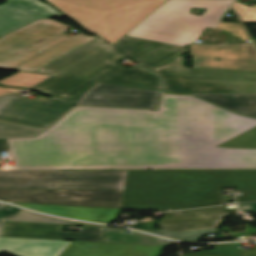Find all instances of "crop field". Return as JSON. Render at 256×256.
<instances>
[{
  "label": "crop field",
  "mask_w": 256,
  "mask_h": 256,
  "mask_svg": "<svg viewBox=\"0 0 256 256\" xmlns=\"http://www.w3.org/2000/svg\"><path fill=\"white\" fill-rule=\"evenodd\" d=\"M8 143L16 168H256V149L208 147L179 127L96 125Z\"/></svg>",
  "instance_id": "8a807250"
},
{
  "label": "crop field",
  "mask_w": 256,
  "mask_h": 256,
  "mask_svg": "<svg viewBox=\"0 0 256 256\" xmlns=\"http://www.w3.org/2000/svg\"><path fill=\"white\" fill-rule=\"evenodd\" d=\"M186 48L124 36L112 46L97 38L61 59L37 70L52 77L31 90L68 99L96 81L161 90L160 79L133 65L115 61L128 57L151 70L185 52Z\"/></svg>",
  "instance_id": "ac0d7876"
},
{
  "label": "crop field",
  "mask_w": 256,
  "mask_h": 256,
  "mask_svg": "<svg viewBox=\"0 0 256 256\" xmlns=\"http://www.w3.org/2000/svg\"><path fill=\"white\" fill-rule=\"evenodd\" d=\"M96 124L180 126L208 146H216L255 127L256 119L237 115L194 96L164 95L159 111L79 107L39 136Z\"/></svg>",
  "instance_id": "34b2d1b8"
},
{
  "label": "crop field",
  "mask_w": 256,
  "mask_h": 256,
  "mask_svg": "<svg viewBox=\"0 0 256 256\" xmlns=\"http://www.w3.org/2000/svg\"><path fill=\"white\" fill-rule=\"evenodd\" d=\"M238 187L256 201V170L129 171L122 210H181L224 204L219 190Z\"/></svg>",
  "instance_id": "412701ff"
},
{
  "label": "crop field",
  "mask_w": 256,
  "mask_h": 256,
  "mask_svg": "<svg viewBox=\"0 0 256 256\" xmlns=\"http://www.w3.org/2000/svg\"><path fill=\"white\" fill-rule=\"evenodd\" d=\"M234 0H169L131 30L128 36L187 47L207 28L228 31L229 37L249 40L240 23L221 21ZM192 8H207L201 16Z\"/></svg>",
  "instance_id": "f4fd0767"
},
{
  "label": "crop field",
  "mask_w": 256,
  "mask_h": 256,
  "mask_svg": "<svg viewBox=\"0 0 256 256\" xmlns=\"http://www.w3.org/2000/svg\"><path fill=\"white\" fill-rule=\"evenodd\" d=\"M46 1L58 7L90 33L103 37L112 45L166 0Z\"/></svg>",
  "instance_id": "dd49c442"
},
{
  "label": "crop field",
  "mask_w": 256,
  "mask_h": 256,
  "mask_svg": "<svg viewBox=\"0 0 256 256\" xmlns=\"http://www.w3.org/2000/svg\"><path fill=\"white\" fill-rule=\"evenodd\" d=\"M164 78L167 91L188 94L256 93V72L187 68L182 56L154 72Z\"/></svg>",
  "instance_id": "e52e79f7"
},
{
  "label": "crop field",
  "mask_w": 256,
  "mask_h": 256,
  "mask_svg": "<svg viewBox=\"0 0 256 256\" xmlns=\"http://www.w3.org/2000/svg\"><path fill=\"white\" fill-rule=\"evenodd\" d=\"M128 171H0V188L124 190Z\"/></svg>",
  "instance_id": "d8731c3e"
},
{
  "label": "crop field",
  "mask_w": 256,
  "mask_h": 256,
  "mask_svg": "<svg viewBox=\"0 0 256 256\" xmlns=\"http://www.w3.org/2000/svg\"><path fill=\"white\" fill-rule=\"evenodd\" d=\"M71 27L50 19L37 20L0 39V69L15 67L69 37L63 34Z\"/></svg>",
  "instance_id": "5a996713"
},
{
  "label": "crop field",
  "mask_w": 256,
  "mask_h": 256,
  "mask_svg": "<svg viewBox=\"0 0 256 256\" xmlns=\"http://www.w3.org/2000/svg\"><path fill=\"white\" fill-rule=\"evenodd\" d=\"M123 195L124 191L0 189V200L6 202L119 209Z\"/></svg>",
  "instance_id": "3316defc"
},
{
  "label": "crop field",
  "mask_w": 256,
  "mask_h": 256,
  "mask_svg": "<svg viewBox=\"0 0 256 256\" xmlns=\"http://www.w3.org/2000/svg\"><path fill=\"white\" fill-rule=\"evenodd\" d=\"M82 93L68 101L52 97L48 102L6 94L0 96V120L45 128L71 109Z\"/></svg>",
  "instance_id": "28ad6ade"
},
{
  "label": "crop field",
  "mask_w": 256,
  "mask_h": 256,
  "mask_svg": "<svg viewBox=\"0 0 256 256\" xmlns=\"http://www.w3.org/2000/svg\"><path fill=\"white\" fill-rule=\"evenodd\" d=\"M190 54L195 67L256 71V49L252 43L191 44Z\"/></svg>",
  "instance_id": "d1516ede"
},
{
  "label": "crop field",
  "mask_w": 256,
  "mask_h": 256,
  "mask_svg": "<svg viewBox=\"0 0 256 256\" xmlns=\"http://www.w3.org/2000/svg\"><path fill=\"white\" fill-rule=\"evenodd\" d=\"M159 92L96 83L83 93L76 105L154 109Z\"/></svg>",
  "instance_id": "22f410ed"
},
{
  "label": "crop field",
  "mask_w": 256,
  "mask_h": 256,
  "mask_svg": "<svg viewBox=\"0 0 256 256\" xmlns=\"http://www.w3.org/2000/svg\"><path fill=\"white\" fill-rule=\"evenodd\" d=\"M63 225L5 222L3 236L103 242L104 227H84L81 232L62 231Z\"/></svg>",
  "instance_id": "cbeb9de0"
},
{
  "label": "crop field",
  "mask_w": 256,
  "mask_h": 256,
  "mask_svg": "<svg viewBox=\"0 0 256 256\" xmlns=\"http://www.w3.org/2000/svg\"><path fill=\"white\" fill-rule=\"evenodd\" d=\"M63 16L38 0H7L0 5V37L37 19Z\"/></svg>",
  "instance_id": "5142ce71"
},
{
  "label": "crop field",
  "mask_w": 256,
  "mask_h": 256,
  "mask_svg": "<svg viewBox=\"0 0 256 256\" xmlns=\"http://www.w3.org/2000/svg\"><path fill=\"white\" fill-rule=\"evenodd\" d=\"M164 246L72 242L60 256H158Z\"/></svg>",
  "instance_id": "d9b57169"
},
{
  "label": "crop field",
  "mask_w": 256,
  "mask_h": 256,
  "mask_svg": "<svg viewBox=\"0 0 256 256\" xmlns=\"http://www.w3.org/2000/svg\"><path fill=\"white\" fill-rule=\"evenodd\" d=\"M69 241L0 237V251L16 256H59Z\"/></svg>",
  "instance_id": "733c2abd"
},
{
  "label": "crop field",
  "mask_w": 256,
  "mask_h": 256,
  "mask_svg": "<svg viewBox=\"0 0 256 256\" xmlns=\"http://www.w3.org/2000/svg\"><path fill=\"white\" fill-rule=\"evenodd\" d=\"M33 210L44 213L59 215L63 217L108 224L116 219L120 210L106 208H86V207H69V206H53L38 204H19Z\"/></svg>",
  "instance_id": "4a817a6b"
},
{
  "label": "crop field",
  "mask_w": 256,
  "mask_h": 256,
  "mask_svg": "<svg viewBox=\"0 0 256 256\" xmlns=\"http://www.w3.org/2000/svg\"><path fill=\"white\" fill-rule=\"evenodd\" d=\"M238 212L237 209L225 210L222 207L203 208L190 211L165 213V217L160 222L163 230L180 231L184 222L190 220L223 218L225 215Z\"/></svg>",
  "instance_id": "bc2a9ffb"
},
{
  "label": "crop field",
  "mask_w": 256,
  "mask_h": 256,
  "mask_svg": "<svg viewBox=\"0 0 256 256\" xmlns=\"http://www.w3.org/2000/svg\"><path fill=\"white\" fill-rule=\"evenodd\" d=\"M97 37H88L82 33L54 46L45 53L25 62L17 67V69L35 71L59 58L79 48Z\"/></svg>",
  "instance_id": "214f88e0"
},
{
  "label": "crop field",
  "mask_w": 256,
  "mask_h": 256,
  "mask_svg": "<svg viewBox=\"0 0 256 256\" xmlns=\"http://www.w3.org/2000/svg\"><path fill=\"white\" fill-rule=\"evenodd\" d=\"M4 221L71 224L72 221L47 217L38 213L25 211L7 204H0V236L3 233Z\"/></svg>",
  "instance_id": "92a150f3"
},
{
  "label": "crop field",
  "mask_w": 256,
  "mask_h": 256,
  "mask_svg": "<svg viewBox=\"0 0 256 256\" xmlns=\"http://www.w3.org/2000/svg\"><path fill=\"white\" fill-rule=\"evenodd\" d=\"M197 96L214 104L228 108L238 114L256 118V95Z\"/></svg>",
  "instance_id": "dafd665d"
},
{
  "label": "crop field",
  "mask_w": 256,
  "mask_h": 256,
  "mask_svg": "<svg viewBox=\"0 0 256 256\" xmlns=\"http://www.w3.org/2000/svg\"><path fill=\"white\" fill-rule=\"evenodd\" d=\"M104 242L112 243H129V244H146V245H162L173 243L172 241L148 236L141 233L134 235H124L122 229H105Z\"/></svg>",
  "instance_id": "00972430"
},
{
  "label": "crop field",
  "mask_w": 256,
  "mask_h": 256,
  "mask_svg": "<svg viewBox=\"0 0 256 256\" xmlns=\"http://www.w3.org/2000/svg\"><path fill=\"white\" fill-rule=\"evenodd\" d=\"M48 76L19 72L9 78L0 81L3 86H15L29 88Z\"/></svg>",
  "instance_id": "a9b5d70f"
},
{
  "label": "crop field",
  "mask_w": 256,
  "mask_h": 256,
  "mask_svg": "<svg viewBox=\"0 0 256 256\" xmlns=\"http://www.w3.org/2000/svg\"><path fill=\"white\" fill-rule=\"evenodd\" d=\"M42 132L44 131L0 122V138L36 137Z\"/></svg>",
  "instance_id": "4177f3b9"
},
{
  "label": "crop field",
  "mask_w": 256,
  "mask_h": 256,
  "mask_svg": "<svg viewBox=\"0 0 256 256\" xmlns=\"http://www.w3.org/2000/svg\"><path fill=\"white\" fill-rule=\"evenodd\" d=\"M229 148H256V127L219 145Z\"/></svg>",
  "instance_id": "730fd06b"
},
{
  "label": "crop field",
  "mask_w": 256,
  "mask_h": 256,
  "mask_svg": "<svg viewBox=\"0 0 256 256\" xmlns=\"http://www.w3.org/2000/svg\"><path fill=\"white\" fill-rule=\"evenodd\" d=\"M233 7L240 15L242 22H256V4H253L252 8H250L235 2Z\"/></svg>",
  "instance_id": "eef30255"
},
{
  "label": "crop field",
  "mask_w": 256,
  "mask_h": 256,
  "mask_svg": "<svg viewBox=\"0 0 256 256\" xmlns=\"http://www.w3.org/2000/svg\"><path fill=\"white\" fill-rule=\"evenodd\" d=\"M222 219L191 221L183 225L181 231L217 228Z\"/></svg>",
  "instance_id": "ae1a2a85"
},
{
  "label": "crop field",
  "mask_w": 256,
  "mask_h": 256,
  "mask_svg": "<svg viewBox=\"0 0 256 256\" xmlns=\"http://www.w3.org/2000/svg\"><path fill=\"white\" fill-rule=\"evenodd\" d=\"M220 32H221V31H214V32H212V30H208V31H206V32L203 34V36H202V38H201L200 40H203L202 43H206V42H209V43H217V42H239V41H240V40L237 41V38H231L232 41H230V38L225 37L226 32H222V36H219ZM211 33H214V34L211 35ZM210 36H212L211 39L209 38ZM217 37H220L219 40L217 39ZM226 38H227V41H225ZM206 39H209V40L206 41ZM215 40H218V41H217V42H214Z\"/></svg>",
  "instance_id": "d3111659"
},
{
  "label": "crop field",
  "mask_w": 256,
  "mask_h": 256,
  "mask_svg": "<svg viewBox=\"0 0 256 256\" xmlns=\"http://www.w3.org/2000/svg\"><path fill=\"white\" fill-rule=\"evenodd\" d=\"M241 211L256 212V203L239 205Z\"/></svg>",
  "instance_id": "750c4746"
},
{
  "label": "crop field",
  "mask_w": 256,
  "mask_h": 256,
  "mask_svg": "<svg viewBox=\"0 0 256 256\" xmlns=\"http://www.w3.org/2000/svg\"><path fill=\"white\" fill-rule=\"evenodd\" d=\"M0 150H8L7 143L5 139L0 140Z\"/></svg>",
  "instance_id": "bd1437ed"
},
{
  "label": "crop field",
  "mask_w": 256,
  "mask_h": 256,
  "mask_svg": "<svg viewBox=\"0 0 256 256\" xmlns=\"http://www.w3.org/2000/svg\"><path fill=\"white\" fill-rule=\"evenodd\" d=\"M13 90H21V89H12V88H2L0 87V94L8 91H13Z\"/></svg>",
  "instance_id": "1d83c4d3"
},
{
  "label": "crop field",
  "mask_w": 256,
  "mask_h": 256,
  "mask_svg": "<svg viewBox=\"0 0 256 256\" xmlns=\"http://www.w3.org/2000/svg\"><path fill=\"white\" fill-rule=\"evenodd\" d=\"M242 256H256V250L254 252H242Z\"/></svg>",
  "instance_id": "120bbe31"
},
{
  "label": "crop field",
  "mask_w": 256,
  "mask_h": 256,
  "mask_svg": "<svg viewBox=\"0 0 256 256\" xmlns=\"http://www.w3.org/2000/svg\"><path fill=\"white\" fill-rule=\"evenodd\" d=\"M74 225H93V224H85V223L74 222ZM97 226H102V225H97Z\"/></svg>",
  "instance_id": "d32e631a"
},
{
  "label": "crop field",
  "mask_w": 256,
  "mask_h": 256,
  "mask_svg": "<svg viewBox=\"0 0 256 256\" xmlns=\"http://www.w3.org/2000/svg\"><path fill=\"white\" fill-rule=\"evenodd\" d=\"M254 42L256 43V40H254Z\"/></svg>",
  "instance_id": "5866460e"
}]
</instances>
